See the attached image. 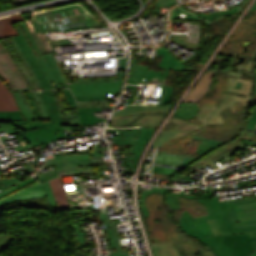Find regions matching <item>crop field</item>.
Wrapping results in <instances>:
<instances>
[{"label": "crop field", "instance_id": "8a807250", "mask_svg": "<svg viewBox=\"0 0 256 256\" xmlns=\"http://www.w3.org/2000/svg\"><path fill=\"white\" fill-rule=\"evenodd\" d=\"M14 40L43 89L71 88L74 96L119 93L125 76L93 79H65L53 53L37 57L19 24Z\"/></svg>", "mask_w": 256, "mask_h": 256}, {"label": "crop field", "instance_id": "ac0d7876", "mask_svg": "<svg viewBox=\"0 0 256 256\" xmlns=\"http://www.w3.org/2000/svg\"><path fill=\"white\" fill-rule=\"evenodd\" d=\"M50 121H11L17 128L27 130L25 139L31 147L47 144L48 141L65 138L64 128L51 125H66L62 123L58 107L51 90L39 93ZM59 131L60 135L53 136L52 132Z\"/></svg>", "mask_w": 256, "mask_h": 256}, {"label": "crop field", "instance_id": "34b2d1b8", "mask_svg": "<svg viewBox=\"0 0 256 256\" xmlns=\"http://www.w3.org/2000/svg\"><path fill=\"white\" fill-rule=\"evenodd\" d=\"M251 85V80L227 78V88L225 91L245 94L248 95V98L223 94L221 97L223 101L219 104L218 108H216L215 104L203 105L195 120L202 122V127H205V125H224L225 122L221 117L222 114L227 117V114L223 111L224 109L230 107V112L232 113H246L247 110L235 112V106L236 102H240L242 106H247L249 104Z\"/></svg>", "mask_w": 256, "mask_h": 256}, {"label": "crop field", "instance_id": "412701ff", "mask_svg": "<svg viewBox=\"0 0 256 256\" xmlns=\"http://www.w3.org/2000/svg\"><path fill=\"white\" fill-rule=\"evenodd\" d=\"M172 105L144 106L130 105L122 111H115L110 123L115 127H132L141 125L144 127H159L173 108Z\"/></svg>", "mask_w": 256, "mask_h": 256}, {"label": "crop field", "instance_id": "f4fd0767", "mask_svg": "<svg viewBox=\"0 0 256 256\" xmlns=\"http://www.w3.org/2000/svg\"><path fill=\"white\" fill-rule=\"evenodd\" d=\"M199 240L210 246L216 256H247L256 249V246H252L256 237L250 238L248 234L218 235Z\"/></svg>", "mask_w": 256, "mask_h": 256}, {"label": "crop field", "instance_id": "dd49c442", "mask_svg": "<svg viewBox=\"0 0 256 256\" xmlns=\"http://www.w3.org/2000/svg\"><path fill=\"white\" fill-rule=\"evenodd\" d=\"M31 22L45 53L53 52L45 32L103 26L88 14L79 17L62 19L63 24L60 25H57L56 21L38 24L34 21V19H32Z\"/></svg>", "mask_w": 256, "mask_h": 256}, {"label": "crop field", "instance_id": "e52e79f7", "mask_svg": "<svg viewBox=\"0 0 256 256\" xmlns=\"http://www.w3.org/2000/svg\"><path fill=\"white\" fill-rule=\"evenodd\" d=\"M197 200L206 206L209 215L193 218L189 212H183L181 217L182 228L196 238L214 235L210 224L217 222L208 199Z\"/></svg>", "mask_w": 256, "mask_h": 256}, {"label": "crop field", "instance_id": "d8731c3e", "mask_svg": "<svg viewBox=\"0 0 256 256\" xmlns=\"http://www.w3.org/2000/svg\"><path fill=\"white\" fill-rule=\"evenodd\" d=\"M253 200H256V198L226 203V201L219 202L218 198L214 197L209 199V202L220 228L230 229L234 226L256 225V221L239 222L233 205V203Z\"/></svg>", "mask_w": 256, "mask_h": 256}, {"label": "crop field", "instance_id": "5a996713", "mask_svg": "<svg viewBox=\"0 0 256 256\" xmlns=\"http://www.w3.org/2000/svg\"><path fill=\"white\" fill-rule=\"evenodd\" d=\"M0 75L13 91L30 90L23 76L0 40Z\"/></svg>", "mask_w": 256, "mask_h": 256}, {"label": "crop field", "instance_id": "3316defc", "mask_svg": "<svg viewBox=\"0 0 256 256\" xmlns=\"http://www.w3.org/2000/svg\"><path fill=\"white\" fill-rule=\"evenodd\" d=\"M41 196H48L50 207L58 210L49 181L43 184L37 183L25 190H22L10 197H7L0 201V205L24 199L37 198Z\"/></svg>", "mask_w": 256, "mask_h": 256}, {"label": "crop field", "instance_id": "28ad6ade", "mask_svg": "<svg viewBox=\"0 0 256 256\" xmlns=\"http://www.w3.org/2000/svg\"><path fill=\"white\" fill-rule=\"evenodd\" d=\"M22 75L24 76L26 82L28 83L31 90H43L38 81L36 80V76L34 77L30 67L22 56L19 48L14 42L13 38H7L2 40Z\"/></svg>", "mask_w": 256, "mask_h": 256}, {"label": "crop field", "instance_id": "d1516ede", "mask_svg": "<svg viewBox=\"0 0 256 256\" xmlns=\"http://www.w3.org/2000/svg\"><path fill=\"white\" fill-rule=\"evenodd\" d=\"M64 90L71 103V106L77 105L78 107V111L81 119V125L95 124V122H98L100 121V119H102V118H97L94 115V112H101V109L98 108L97 105L105 104L106 101L77 103L74 100L73 96L71 95L70 91L67 89H64Z\"/></svg>", "mask_w": 256, "mask_h": 256}, {"label": "crop field", "instance_id": "22f410ed", "mask_svg": "<svg viewBox=\"0 0 256 256\" xmlns=\"http://www.w3.org/2000/svg\"><path fill=\"white\" fill-rule=\"evenodd\" d=\"M170 121L178 124V127L173 130H163L159 134V136L157 137V139L155 140V142L151 147L157 148L159 145L163 144L165 141L169 139L179 137V136H184L185 134H187V132L191 133L201 128V127L193 126L189 124L186 120L176 118V117L172 118Z\"/></svg>", "mask_w": 256, "mask_h": 256}, {"label": "crop field", "instance_id": "cbeb9de0", "mask_svg": "<svg viewBox=\"0 0 256 256\" xmlns=\"http://www.w3.org/2000/svg\"><path fill=\"white\" fill-rule=\"evenodd\" d=\"M239 138L243 139H249L252 140L254 143H256V133L251 132H245L242 131V133L238 136V139L233 141L232 143L225 145L214 152L210 153L209 155L205 156L200 160L201 164L204 165L206 163H210V165L213 167L214 170L218 169V167L211 161L212 159L218 157L222 153L226 152L227 150L233 148L234 151L239 150L238 147L243 146L242 142L239 140ZM199 162V161H198ZM194 165V164H193ZM192 166V165H191ZM190 167V166H189Z\"/></svg>", "mask_w": 256, "mask_h": 256}, {"label": "crop field", "instance_id": "5142ce71", "mask_svg": "<svg viewBox=\"0 0 256 256\" xmlns=\"http://www.w3.org/2000/svg\"><path fill=\"white\" fill-rule=\"evenodd\" d=\"M79 6L75 5V6H71V7L49 10L46 12L35 14L34 16H35V19L39 23H43L45 21L58 19V17L63 18V17L81 15V14L86 13Z\"/></svg>", "mask_w": 256, "mask_h": 256}, {"label": "crop field", "instance_id": "d9b57169", "mask_svg": "<svg viewBox=\"0 0 256 256\" xmlns=\"http://www.w3.org/2000/svg\"><path fill=\"white\" fill-rule=\"evenodd\" d=\"M212 73L213 72L209 70L203 74L191 92L186 96L183 103H194L201 99L208 87Z\"/></svg>", "mask_w": 256, "mask_h": 256}, {"label": "crop field", "instance_id": "733c2abd", "mask_svg": "<svg viewBox=\"0 0 256 256\" xmlns=\"http://www.w3.org/2000/svg\"><path fill=\"white\" fill-rule=\"evenodd\" d=\"M156 130L157 128H145L142 130L140 137L138 139L137 145L132 153V154H135V156H134L131 168H136L143 150L145 149L149 140L153 137Z\"/></svg>", "mask_w": 256, "mask_h": 256}, {"label": "crop field", "instance_id": "4a817a6b", "mask_svg": "<svg viewBox=\"0 0 256 256\" xmlns=\"http://www.w3.org/2000/svg\"><path fill=\"white\" fill-rule=\"evenodd\" d=\"M52 189L55 195V199L58 205L59 210H68L70 205L68 203V198L64 190L62 178H56L50 180Z\"/></svg>", "mask_w": 256, "mask_h": 256}, {"label": "crop field", "instance_id": "bc2a9ffb", "mask_svg": "<svg viewBox=\"0 0 256 256\" xmlns=\"http://www.w3.org/2000/svg\"><path fill=\"white\" fill-rule=\"evenodd\" d=\"M21 21H24V18L22 17L21 14L16 16H11L9 18L1 19L0 20V39L18 35V32L15 29L13 24Z\"/></svg>", "mask_w": 256, "mask_h": 256}, {"label": "crop field", "instance_id": "214f88e0", "mask_svg": "<svg viewBox=\"0 0 256 256\" xmlns=\"http://www.w3.org/2000/svg\"><path fill=\"white\" fill-rule=\"evenodd\" d=\"M19 110L11 92L0 80V111H17Z\"/></svg>", "mask_w": 256, "mask_h": 256}, {"label": "crop field", "instance_id": "92a150f3", "mask_svg": "<svg viewBox=\"0 0 256 256\" xmlns=\"http://www.w3.org/2000/svg\"><path fill=\"white\" fill-rule=\"evenodd\" d=\"M234 205L239 221L256 220V201Z\"/></svg>", "mask_w": 256, "mask_h": 256}, {"label": "crop field", "instance_id": "dafd665d", "mask_svg": "<svg viewBox=\"0 0 256 256\" xmlns=\"http://www.w3.org/2000/svg\"><path fill=\"white\" fill-rule=\"evenodd\" d=\"M108 230L110 242L112 244L113 256H128L129 253L122 254L119 232L115 222L104 224Z\"/></svg>", "mask_w": 256, "mask_h": 256}, {"label": "crop field", "instance_id": "00972430", "mask_svg": "<svg viewBox=\"0 0 256 256\" xmlns=\"http://www.w3.org/2000/svg\"><path fill=\"white\" fill-rule=\"evenodd\" d=\"M58 169H54L50 172H46L41 175H37L38 178L54 174L56 172H61V171H67V170H74V169H80V168H92L91 167V161L90 160H85V161H76V162H69L61 165L56 166Z\"/></svg>", "mask_w": 256, "mask_h": 256}, {"label": "crop field", "instance_id": "a9b5d70f", "mask_svg": "<svg viewBox=\"0 0 256 256\" xmlns=\"http://www.w3.org/2000/svg\"><path fill=\"white\" fill-rule=\"evenodd\" d=\"M200 107L201 104H180L173 116L191 120L196 116Z\"/></svg>", "mask_w": 256, "mask_h": 256}, {"label": "crop field", "instance_id": "4177f3b9", "mask_svg": "<svg viewBox=\"0 0 256 256\" xmlns=\"http://www.w3.org/2000/svg\"><path fill=\"white\" fill-rule=\"evenodd\" d=\"M13 95L21 109L23 117L28 120H37L31 106L28 103V100L25 97L24 92H13Z\"/></svg>", "mask_w": 256, "mask_h": 256}, {"label": "crop field", "instance_id": "730fd06b", "mask_svg": "<svg viewBox=\"0 0 256 256\" xmlns=\"http://www.w3.org/2000/svg\"><path fill=\"white\" fill-rule=\"evenodd\" d=\"M153 256H180L178 251L172 246L171 243L165 242V243H150ZM157 250V252H155Z\"/></svg>", "mask_w": 256, "mask_h": 256}, {"label": "crop field", "instance_id": "eef30255", "mask_svg": "<svg viewBox=\"0 0 256 256\" xmlns=\"http://www.w3.org/2000/svg\"><path fill=\"white\" fill-rule=\"evenodd\" d=\"M193 139L202 140L197 151H194V153L199 154V155H204V154L208 153L210 150L224 144V141L205 139V138H197L196 136H194Z\"/></svg>", "mask_w": 256, "mask_h": 256}, {"label": "crop field", "instance_id": "ae1a2a85", "mask_svg": "<svg viewBox=\"0 0 256 256\" xmlns=\"http://www.w3.org/2000/svg\"><path fill=\"white\" fill-rule=\"evenodd\" d=\"M76 159L84 160V159H90V157H89V155L60 156V157H56L53 159H48V161L44 167L57 165V164H61V163L69 162V161H76Z\"/></svg>", "mask_w": 256, "mask_h": 256}, {"label": "crop field", "instance_id": "d3111659", "mask_svg": "<svg viewBox=\"0 0 256 256\" xmlns=\"http://www.w3.org/2000/svg\"><path fill=\"white\" fill-rule=\"evenodd\" d=\"M107 130H109L107 132L119 131V134H115V135H113L114 137L108 138V139H113L114 138L115 145H125V144H127L131 130H118V129H107Z\"/></svg>", "mask_w": 256, "mask_h": 256}, {"label": "crop field", "instance_id": "750c4746", "mask_svg": "<svg viewBox=\"0 0 256 256\" xmlns=\"http://www.w3.org/2000/svg\"><path fill=\"white\" fill-rule=\"evenodd\" d=\"M152 193H158V194L164 195L165 190L153 188L152 191H144V192H142V194H141L142 212H143L145 218L149 217V211H148V209H147V207L145 205V198H146V196H148V195H150Z\"/></svg>", "mask_w": 256, "mask_h": 256}, {"label": "crop field", "instance_id": "bd1437ed", "mask_svg": "<svg viewBox=\"0 0 256 256\" xmlns=\"http://www.w3.org/2000/svg\"><path fill=\"white\" fill-rule=\"evenodd\" d=\"M181 196H183L185 198L193 199V196H184L183 193L182 194H177V193L168 192V194L166 196V199H167V202H168L170 208H172V209L180 208L177 198L181 197Z\"/></svg>", "mask_w": 256, "mask_h": 256}, {"label": "crop field", "instance_id": "1d83c4d3", "mask_svg": "<svg viewBox=\"0 0 256 256\" xmlns=\"http://www.w3.org/2000/svg\"><path fill=\"white\" fill-rule=\"evenodd\" d=\"M256 128V109L251 108L249 118L242 130L254 132Z\"/></svg>", "mask_w": 256, "mask_h": 256}, {"label": "crop field", "instance_id": "120bbe31", "mask_svg": "<svg viewBox=\"0 0 256 256\" xmlns=\"http://www.w3.org/2000/svg\"><path fill=\"white\" fill-rule=\"evenodd\" d=\"M19 24H20L21 27L23 28L24 33H25V35H26L28 41L31 43V45H32L33 49L36 51L37 55L42 54L40 48L38 47L37 43L35 42V40H34L32 34H31V32H30L28 26L26 25V23H25V22H22V23H19Z\"/></svg>", "mask_w": 256, "mask_h": 256}, {"label": "crop field", "instance_id": "d32e631a", "mask_svg": "<svg viewBox=\"0 0 256 256\" xmlns=\"http://www.w3.org/2000/svg\"><path fill=\"white\" fill-rule=\"evenodd\" d=\"M9 120H26L22 117L21 112H0V121H9Z\"/></svg>", "mask_w": 256, "mask_h": 256}, {"label": "crop field", "instance_id": "5866460e", "mask_svg": "<svg viewBox=\"0 0 256 256\" xmlns=\"http://www.w3.org/2000/svg\"><path fill=\"white\" fill-rule=\"evenodd\" d=\"M61 173H62V176H64V175H69V174H93V171H92V169H81V170H74V171L61 172ZM58 176H59V173L41 178L40 180H41V182H43V181H46L48 179H52V178H55Z\"/></svg>", "mask_w": 256, "mask_h": 256}, {"label": "crop field", "instance_id": "028f5c9d", "mask_svg": "<svg viewBox=\"0 0 256 256\" xmlns=\"http://www.w3.org/2000/svg\"><path fill=\"white\" fill-rule=\"evenodd\" d=\"M212 229L214 231L215 235L218 234H238V233H249L251 237L256 236V230L252 231H243V232H231L230 230H221L218 226V224H211Z\"/></svg>", "mask_w": 256, "mask_h": 256}, {"label": "crop field", "instance_id": "e1f06a70", "mask_svg": "<svg viewBox=\"0 0 256 256\" xmlns=\"http://www.w3.org/2000/svg\"><path fill=\"white\" fill-rule=\"evenodd\" d=\"M140 131H141V129H132L131 135H130V138H129V142H128V144L131 145L128 154L132 153V150H133V148H134V146L137 142V139L139 137Z\"/></svg>", "mask_w": 256, "mask_h": 256}, {"label": "crop field", "instance_id": "0bd39190", "mask_svg": "<svg viewBox=\"0 0 256 256\" xmlns=\"http://www.w3.org/2000/svg\"><path fill=\"white\" fill-rule=\"evenodd\" d=\"M78 101H97V100H106V95L100 96H83V97H75Z\"/></svg>", "mask_w": 256, "mask_h": 256}, {"label": "crop field", "instance_id": "b80d0937", "mask_svg": "<svg viewBox=\"0 0 256 256\" xmlns=\"http://www.w3.org/2000/svg\"><path fill=\"white\" fill-rule=\"evenodd\" d=\"M32 93H33V95H34V97H35V100L37 101V103H38V105H39V108H40V110H41L42 117L44 118V120H49V119H48V116H47V114H46V112H45V109H44V107H43V104H42V102H41V99H40V96H39V94H38V91H37V92H32Z\"/></svg>", "mask_w": 256, "mask_h": 256}, {"label": "crop field", "instance_id": "c035e120", "mask_svg": "<svg viewBox=\"0 0 256 256\" xmlns=\"http://www.w3.org/2000/svg\"><path fill=\"white\" fill-rule=\"evenodd\" d=\"M162 73L163 72L148 71L146 79L160 81Z\"/></svg>", "mask_w": 256, "mask_h": 256}, {"label": "crop field", "instance_id": "c21b1889", "mask_svg": "<svg viewBox=\"0 0 256 256\" xmlns=\"http://www.w3.org/2000/svg\"><path fill=\"white\" fill-rule=\"evenodd\" d=\"M172 88H173V87L166 86L165 92H164V96H163V100H162V104H161V105L168 104L169 96H170V93H171V91H172Z\"/></svg>", "mask_w": 256, "mask_h": 256}, {"label": "crop field", "instance_id": "03da06ac", "mask_svg": "<svg viewBox=\"0 0 256 256\" xmlns=\"http://www.w3.org/2000/svg\"><path fill=\"white\" fill-rule=\"evenodd\" d=\"M141 67L142 66L136 64L132 83H137L138 82V78H139V75H140Z\"/></svg>", "mask_w": 256, "mask_h": 256}, {"label": "crop field", "instance_id": "b54c1fbb", "mask_svg": "<svg viewBox=\"0 0 256 256\" xmlns=\"http://www.w3.org/2000/svg\"><path fill=\"white\" fill-rule=\"evenodd\" d=\"M136 61H137L136 59H132V62H131L130 72H129L128 81H127V83L129 84H131V81H132V76H133Z\"/></svg>", "mask_w": 256, "mask_h": 256}, {"label": "crop field", "instance_id": "5d738f31", "mask_svg": "<svg viewBox=\"0 0 256 256\" xmlns=\"http://www.w3.org/2000/svg\"><path fill=\"white\" fill-rule=\"evenodd\" d=\"M147 70H148V67H146V66H143V67H142V71H141V75H140V78H139V82H138V83H140V84H143V83H144Z\"/></svg>", "mask_w": 256, "mask_h": 256}, {"label": "crop field", "instance_id": "d23c7cc5", "mask_svg": "<svg viewBox=\"0 0 256 256\" xmlns=\"http://www.w3.org/2000/svg\"><path fill=\"white\" fill-rule=\"evenodd\" d=\"M10 238L6 237L5 235H0V250L7 244Z\"/></svg>", "mask_w": 256, "mask_h": 256}, {"label": "crop field", "instance_id": "425ffa30", "mask_svg": "<svg viewBox=\"0 0 256 256\" xmlns=\"http://www.w3.org/2000/svg\"><path fill=\"white\" fill-rule=\"evenodd\" d=\"M231 229H232V231L251 230V229H256V226L235 227V228H231Z\"/></svg>", "mask_w": 256, "mask_h": 256}, {"label": "crop field", "instance_id": "25e5ab78", "mask_svg": "<svg viewBox=\"0 0 256 256\" xmlns=\"http://www.w3.org/2000/svg\"><path fill=\"white\" fill-rule=\"evenodd\" d=\"M256 11V2L254 3V5L251 7V9L249 10V12L247 14L252 15V13Z\"/></svg>", "mask_w": 256, "mask_h": 256}, {"label": "crop field", "instance_id": "73cf0c24", "mask_svg": "<svg viewBox=\"0 0 256 256\" xmlns=\"http://www.w3.org/2000/svg\"><path fill=\"white\" fill-rule=\"evenodd\" d=\"M253 245H256V242H253ZM249 256H256V250H254Z\"/></svg>", "mask_w": 256, "mask_h": 256}, {"label": "crop field", "instance_id": "89e229c0", "mask_svg": "<svg viewBox=\"0 0 256 256\" xmlns=\"http://www.w3.org/2000/svg\"><path fill=\"white\" fill-rule=\"evenodd\" d=\"M205 255L206 256H212V253L211 252H207Z\"/></svg>", "mask_w": 256, "mask_h": 256}, {"label": "crop field", "instance_id": "1f2cbd36", "mask_svg": "<svg viewBox=\"0 0 256 256\" xmlns=\"http://www.w3.org/2000/svg\"><path fill=\"white\" fill-rule=\"evenodd\" d=\"M53 134H54V135H55V134H59V132H56V133H53Z\"/></svg>", "mask_w": 256, "mask_h": 256}, {"label": "crop field", "instance_id": "dbb93151", "mask_svg": "<svg viewBox=\"0 0 256 256\" xmlns=\"http://www.w3.org/2000/svg\"><path fill=\"white\" fill-rule=\"evenodd\" d=\"M255 94H256V87H255Z\"/></svg>", "mask_w": 256, "mask_h": 256}, {"label": "crop field", "instance_id": "0fb4a251", "mask_svg": "<svg viewBox=\"0 0 256 256\" xmlns=\"http://www.w3.org/2000/svg\"><path fill=\"white\" fill-rule=\"evenodd\" d=\"M256 132V131H255Z\"/></svg>", "mask_w": 256, "mask_h": 256}]
</instances>
